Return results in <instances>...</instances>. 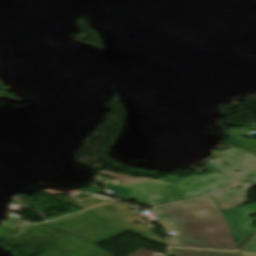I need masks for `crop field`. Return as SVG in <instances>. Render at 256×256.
I'll list each match as a JSON object with an SVG mask.
<instances>
[{"instance_id": "5", "label": "crop field", "mask_w": 256, "mask_h": 256, "mask_svg": "<svg viewBox=\"0 0 256 256\" xmlns=\"http://www.w3.org/2000/svg\"><path fill=\"white\" fill-rule=\"evenodd\" d=\"M255 213L256 203L223 212L237 246L244 242L254 232L251 222L256 221V218H251L248 215Z\"/></svg>"}, {"instance_id": "8", "label": "crop field", "mask_w": 256, "mask_h": 256, "mask_svg": "<svg viewBox=\"0 0 256 256\" xmlns=\"http://www.w3.org/2000/svg\"><path fill=\"white\" fill-rule=\"evenodd\" d=\"M171 256H241L240 253L171 249Z\"/></svg>"}, {"instance_id": "3", "label": "crop field", "mask_w": 256, "mask_h": 256, "mask_svg": "<svg viewBox=\"0 0 256 256\" xmlns=\"http://www.w3.org/2000/svg\"><path fill=\"white\" fill-rule=\"evenodd\" d=\"M44 224L73 232L97 244L126 232L87 211Z\"/></svg>"}, {"instance_id": "12", "label": "crop field", "mask_w": 256, "mask_h": 256, "mask_svg": "<svg viewBox=\"0 0 256 256\" xmlns=\"http://www.w3.org/2000/svg\"><path fill=\"white\" fill-rule=\"evenodd\" d=\"M235 180L256 185V166L249 169L247 172H245L243 175Z\"/></svg>"}, {"instance_id": "7", "label": "crop field", "mask_w": 256, "mask_h": 256, "mask_svg": "<svg viewBox=\"0 0 256 256\" xmlns=\"http://www.w3.org/2000/svg\"><path fill=\"white\" fill-rule=\"evenodd\" d=\"M76 206H79L83 209L88 208V207H92L104 202H108L111 201L110 198H107L105 196L102 195H97V194H92V193H81L78 195H75L73 197L64 199Z\"/></svg>"}, {"instance_id": "14", "label": "crop field", "mask_w": 256, "mask_h": 256, "mask_svg": "<svg viewBox=\"0 0 256 256\" xmlns=\"http://www.w3.org/2000/svg\"><path fill=\"white\" fill-rule=\"evenodd\" d=\"M129 256H165V255L140 248L137 251L130 254Z\"/></svg>"}, {"instance_id": "4", "label": "crop field", "mask_w": 256, "mask_h": 256, "mask_svg": "<svg viewBox=\"0 0 256 256\" xmlns=\"http://www.w3.org/2000/svg\"><path fill=\"white\" fill-rule=\"evenodd\" d=\"M166 177L183 199L204 195L216 190L231 180L217 173H211L203 176H192L182 179H179L176 175Z\"/></svg>"}, {"instance_id": "15", "label": "crop field", "mask_w": 256, "mask_h": 256, "mask_svg": "<svg viewBox=\"0 0 256 256\" xmlns=\"http://www.w3.org/2000/svg\"><path fill=\"white\" fill-rule=\"evenodd\" d=\"M83 191H88V192H92V193L101 194V189H99L97 187L86 188V189H83Z\"/></svg>"}, {"instance_id": "11", "label": "crop field", "mask_w": 256, "mask_h": 256, "mask_svg": "<svg viewBox=\"0 0 256 256\" xmlns=\"http://www.w3.org/2000/svg\"><path fill=\"white\" fill-rule=\"evenodd\" d=\"M205 166L210 167L211 169H213V170H215L219 173H222V174H224L228 177H234L237 174H239V173H237V172H235V171H233V170H231V169H229L225 166H222V165L214 163V162L208 163Z\"/></svg>"}, {"instance_id": "6", "label": "crop field", "mask_w": 256, "mask_h": 256, "mask_svg": "<svg viewBox=\"0 0 256 256\" xmlns=\"http://www.w3.org/2000/svg\"><path fill=\"white\" fill-rule=\"evenodd\" d=\"M87 211L97 215V216H100L112 223H115L125 229H128L138 235H141L147 239H150L152 241H155V242H158L160 244H163L165 245L166 244V241L160 239L159 237H157L156 235L146 231L145 229L137 226L136 224L126 220L124 217L102 207V206H99V207H95V208H92V209H88Z\"/></svg>"}, {"instance_id": "13", "label": "crop field", "mask_w": 256, "mask_h": 256, "mask_svg": "<svg viewBox=\"0 0 256 256\" xmlns=\"http://www.w3.org/2000/svg\"><path fill=\"white\" fill-rule=\"evenodd\" d=\"M240 251L256 252V237L247 242ZM242 256H256V254L242 253Z\"/></svg>"}, {"instance_id": "2", "label": "crop field", "mask_w": 256, "mask_h": 256, "mask_svg": "<svg viewBox=\"0 0 256 256\" xmlns=\"http://www.w3.org/2000/svg\"><path fill=\"white\" fill-rule=\"evenodd\" d=\"M98 173H106L112 178L120 179L121 185L105 184L107 190L113 191L114 196L119 199H135L148 206L181 200L165 178L157 180L145 177L133 178L108 171H98Z\"/></svg>"}, {"instance_id": "10", "label": "crop field", "mask_w": 256, "mask_h": 256, "mask_svg": "<svg viewBox=\"0 0 256 256\" xmlns=\"http://www.w3.org/2000/svg\"><path fill=\"white\" fill-rule=\"evenodd\" d=\"M223 155V154H222ZM219 163H221V164H223V163H225V164H228L227 166L228 167H230V168H233V169H235V170H241V171H243L245 168H247L249 165H247V164H245V163H242V162H240V161H237V160H235V159H233V158H230V157H228V156H226V155H223L222 156V158H221V160H220V162ZM241 171H239V172H241Z\"/></svg>"}, {"instance_id": "16", "label": "crop field", "mask_w": 256, "mask_h": 256, "mask_svg": "<svg viewBox=\"0 0 256 256\" xmlns=\"http://www.w3.org/2000/svg\"><path fill=\"white\" fill-rule=\"evenodd\" d=\"M254 236H256V234Z\"/></svg>"}, {"instance_id": "1", "label": "crop field", "mask_w": 256, "mask_h": 256, "mask_svg": "<svg viewBox=\"0 0 256 256\" xmlns=\"http://www.w3.org/2000/svg\"><path fill=\"white\" fill-rule=\"evenodd\" d=\"M238 185L242 188H236ZM252 186L234 180L211 196L158 207L155 212L159 221L167 231L176 233L170 236L171 246L235 250L221 210L247 202V191Z\"/></svg>"}, {"instance_id": "9", "label": "crop field", "mask_w": 256, "mask_h": 256, "mask_svg": "<svg viewBox=\"0 0 256 256\" xmlns=\"http://www.w3.org/2000/svg\"><path fill=\"white\" fill-rule=\"evenodd\" d=\"M217 151H219V152H221L223 154H226V155H228L230 157H233L235 159H238V160H240L242 162H245V163H247L249 165H251L254 162H256V157H254L252 155H249V154H247L245 152H242L240 150H237V149H235L233 147H231L229 149H226L224 151H220V150H217Z\"/></svg>"}]
</instances>
